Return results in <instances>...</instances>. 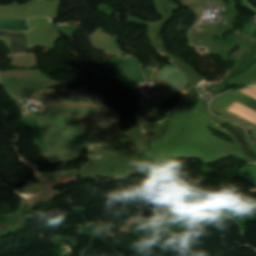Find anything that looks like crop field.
<instances>
[{
	"instance_id": "8a807250",
	"label": "crop field",
	"mask_w": 256,
	"mask_h": 256,
	"mask_svg": "<svg viewBox=\"0 0 256 256\" xmlns=\"http://www.w3.org/2000/svg\"><path fill=\"white\" fill-rule=\"evenodd\" d=\"M5 89L11 94L29 99L31 94L47 86L56 85L52 79L44 74L21 80H1Z\"/></svg>"
},
{
	"instance_id": "ac0d7876",
	"label": "crop field",
	"mask_w": 256,
	"mask_h": 256,
	"mask_svg": "<svg viewBox=\"0 0 256 256\" xmlns=\"http://www.w3.org/2000/svg\"><path fill=\"white\" fill-rule=\"evenodd\" d=\"M116 64L127 71L132 81L144 82L145 79L142 75L139 63L131 57H119L115 59Z\"/></svg>"
},
{
	"instance_id": "34b2d1b8",
	"label": "crop field",
	"mask_w": 256,
	"mask_h": 256,
	"mask_svg": "<svg viewBox=\"0 0 256 256\" xmlns=\"http://www.w3.org/2000/svg\"><path fill=\"white\" fill-rule=\"evenodd\" d=\"M219 126H221L224 130H226L234 137L237 145L240 147V149L247 158L256 159V155L235 127L231 126L228 123L219 124Z\"/></svg>"
},
{
	"instance_id": "412701ff",
	"label": "crop field",
	"mask_w": 256,
	"mask_h": 256,
	"mask_svg": "<svg viewBox=\"0 0 256 256\" xmlns=\"http://www.w3.org/2000/svg\"><path fill=\"white\" fill-rule=\"evenodd\" d=\"M0 36L11 37L12 53L25 52L24 33L0 31ZM24 54V53H19Z\"/></svg>"
},
{
	"instance_id": "f4fd0767",
	"label": "crop field",
	"mask_w": 256,
	"mask_h": 256,
	"mask_svg": "<svg viewBox=\"0 0 256 256\" xmlns=\"http://www.w3.org/2000/svg\"><path fill=\"white\" fill-rule=\"evenodd\" d=\"M22 121L27 123L29 126L33 128V137L35 140V143L40 147L42 153H47L46 148L43 142V138L40 132V128L37 122L36 117H22Z\"/></svg>"
},
{
	"instance_id": "dd49c442",
	"label": "crop field",
	"mask_w": 256,
	"mask_h": 256,
	"mask_svg": "<svg viewBox=\"0 0 256 256\" xmlns=\"http://www.w3.org/2000/svg\"><path fill=\"white\" fill-rule=\"evenodd\" d=\"M0 29L10 31H27L29 28L25 20L19 19H0Z\"/></svg>"
},
{
	"instance_id": "e52e79f7",
	"label": "crop field",
	"mask_w": 256,
	"mask_h": 256,
	"mask_svg": "<svg viewBox=\"0 0 256 256\" xmlns=\"http://www.w3.org/2000/svg\"><path fill=\"white\" fill-rule=\"evenodd\" d=\"M237 101H240V102L246 104L247 106L256 110V97H254V96H251V95L241 91L237 98Z\"/></svg>"
}]
</instances>
